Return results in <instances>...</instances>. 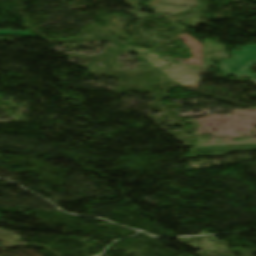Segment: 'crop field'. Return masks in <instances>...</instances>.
Listing matches in <instances>:
<instances>
[{"instance_id": "8a807250", "label": "crop field", "mask_w": 256, "mask_h": 256, "mask_svg": "<svg viewBox=\"0 0 256 256\" xmlns=\"http://www.w3.org/2000/svg\"><path fill=\"white\" fill-rule=\"evenodd\" d=\"M239 48V51L231 52L233 59H225L219 62L221 72L225 76L256 78V75L249 70V67L256 63V45ZM225 68L227 69L225 70Z\"/></svg>"}, {"instance_id": "34b2d1b8", "label": "crop field", "mask_w": 256, "mask_h": 256, "mask_svg": "<svg viewBox=\"0 0 256 256\" xmlns=\"http://www.w3.org/2000/svg\"><path fill=\"white\" fill-rule=\"evenodd\" d=\"M253 1H256V0H253Z\"/></svg>"}, {"instance_id": "ac0d7876", "label": "crop field", "mask_w": 256, "mask_h": 256, "mask_svg": "<svg viewBox=\"0 0 256 256\" xmlns=\"http://www.w3.org/2000/svg\"><path fill=\"white\" fill-rule=\"evenodd\" d=\"M0 35H22V36H30L31 34L26 31H17V32H12L11 30H3L0 31Z\"/></svg>"}]
</instances>
